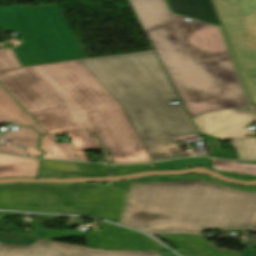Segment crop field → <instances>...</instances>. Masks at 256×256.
<instances>
[{
  "mask_svg": "<svg viewBox=\"0 0 256 256\" xmlns=\"http://www.w3.org/2000/svg\"><path fill=\"white\" fill-rule=\"evenodd\" d=\"M0 83L52 138L68 134L58 144L73 160L108 149L110 163L152 162L120 104L79 60L0 70Z\"/></svg>",
  "mask_w": 256,
  "mask_h": 256,
  "instance_id": "1",
  "label": "crop field"
},
{
  "mask_svg": "<svg viewBox=\"0 0 256 256\" xmlns=\"http://www.w3.org/2000/svg\"><path fill=\"white\" fill-rule=\"evenodd\" d=\"M191 117L249 105L218 27L171 14L164 0H129Z\"/></svg>",
  "mask_w": 256,
  "mask_h": 256,
  "instance_id": "2",
  "label": "crop field"
},
{
  "mask_svg": "<svg viewBox=\"0 0 256 256\" xmlns=\"http://www.w3.org/2000/svg\"><path fill=\"white\" fill-rule=\"evenodd\" d=\"M122 224L151 234L256 231V192L201 181L131 185Z\"/></svg>",
  "mask_w": 256,
  "mask_h": 256,
  "instance_id": "3",
  "label": "crop field"
},
{
  "mask_svg": "<svg viewBox=\"0 0 256 256\" xmlns=\"http://www.w3.org/2000/svg\"><path fill=\"white\" fill-rule=\"evenodd\" d=\"M121 104L153 161L183 157L173 137L196 133L154 51L80 60Z\"/></svg>",
  "mask_w": 256,
  "mask_h": 256,
  "instance_id": "4",
  "label": "crop field"
},
{
  "mask_svg": "<svg viewBox=\"0 0 256 256\" xmlns=\"http://www.w3.org/2000/svg\"><path fill=\"white\" fill-rule=\"evenodd\" d=\"M125 196L87 183L3 184L0 209L83 214L119 224Z\"/></svg>",
  "mask_w": 256,
  "mask_h": 256,
  "instance_id": "5",
  "label": "crop field"
},
{
  "mask_svg": "<svg viewBox=\"0 0 256 256\" xmlns=\"http://www.w3.org/2000/svg\"><path fill=\"white\" fill-rule=\"evenodd\" d=\"M0 26L22 33V66L87 58L58 5L0 7Z\"/></svg>",
  "mask_w": 256,
  "mask_h": 256,
  "instance_id": "6",
  "label": "crop field"
},
{
  "mask_svg": "<svg viewBox=\"0 0 256 256\" xmlns=\"http://www.w3.org/2000/svg\"><path fill=\"white\" fill-rule=\"evenodd\" d=\"M243 78L256 105V0H212Z\"/></svg>",
  "mask_w": 256,
  "mask_h": 256,
  "instance_id": "7",
  "label": "crop field"
},
{
  "mask_svg": "<svg viewBox=\"0 0 256 256\" xmlns=\"http://www.w3.org/2000/svg\"><path fill=\"white\" fill-rule=\"evenodd\" d=\"M0 256H162L158 252L116 251L0 233Z\"/></svg>",
  "mask_w": 256,
  "mask_h": 256,
  "instance_id": "8",
  "label": "crop field"
},
{
  "mask_svg": "<svg viewBox=\"0 0 256 256\" xmlns=\"http://www.w3.org/2000/svg\"><path fill=\"white\" fill-rule=\"evenodd\" d=\"M103 231L85 233L88 247L116 250H167L154 239L126 228L103 222Z\"/></svg>",
  "mask_w": 256,
  "mask_h": 256,
  "instance_id": "9",
  "label": "crop field"
},
{
  "mask_svg": "<svg viewBox=\"0 0 256 256\" xmlns=\"http://www.w3.org/2000/svg\"><path fill=\"white\" fill-rule=\"evenodd\" d=\"M200 133L220 140L246 135L245 126L254 122L249 107L213 111L193 118Z\"/></svg>",
  "mask_w": 256,
  "mask_h": 256,
  "instance_id": "10",
  "label": "crop field"
},
{
  "mask_svg": "<svg viewBox=\"0 0 256 256\" xmlns=\"http://www.w3.org/2000/svg\"><path fill=\"white\" fill-rule=\"evenodd\" d=\"M158 236V235H157ZM159 237L172 241L183 256H238L239 252L216 249L204 237L188 235H159Z\"/></svg>",
  "mask_w": 256,
  "mask_h": 256,
  "instance_id": "11",
  "label": "crop field"
},
{
  "mask_svg": "<svg viewBox=\"0 0 256 256\" xmlns=\"http://www.w3.org/2000/svg\"><path fill=\"white\" fill-rule=\"evenodd\" d=\"M2 122H12L15 126L32 127L41 134L46 133L0 84V123Z\"/></svg>",
  "mask_w": 256,
  "mask_h": 256,
  "instance_id": "12",
  "label": "crop field"
},
{
  "mask_svg": "<svg viewBox=\"0 0 256 256\" xmlns=\"http://www.w3.org/2000/svg\"><path fill=\"white\" fill-rule=\"evenodd\" d=\"M168 2L175 13L220 25L211 0H168Z\"/></svg>",
  "mask_w": 256,
  "mask_h": 256,
  "instance_id": "13",
  "label": "crop field"
},
{
  "mask_svg": "<svg viewBox=\"0 0 256 256\" xmlns=\"http://www.w3.org/2000/svg\"><path fill=\"white\" fill-rule=\"evenodd\" d=\"M39 166L37 160L0 154V178L36 177Z\"/></svg>",
  "mask_w": 256,
  "mask_h": 256,
  "instance_id": "14",
  "label": "crop field"
},
{
  "mask_svg": "<svg viewBox=\"0 0 256 256\" xmlns=\"http://www.w3.org/2000/svg\"><path fill=\"white\" fill-rule=\"evenodd\" d=\"M87 176L75 163L42 160L38 177H83Z\"/></svg>",
  "mask_w": 256,
  "mask_h": 256,
  "instance_id": "15",
  "label": "crop field"
},
{
  "mask_svg": "<svg viewBox=\"0 0 256 256\" xmlns=\"http://www.w3.org/2000/svg\"><path fill=\"white\" fill-rule=\"evenodd\" d=\"M4 139L14 140L13 144L26 145L27 154L31 155V157L35 155L40 157L44 153L38 150L40 134L32 128L18 127L16 132H7Z\"/></svg>",
  "mask_w": 256,
  "mask_h": 256,
  "instance_id": "16",
  "label": "crop field"
},
{
  "mask_svg": "<svg viewBox=\"0 0 256 256\" xmlns=\"http://www.w3.org/2000/svg\"><path fill=\"white\" fill-rule=\"evenodd\" d=\"M246 129V128H245ZM247 134H256L254 129L246 130ZM231 145L237 152L238 159H256V137L246 136L230 139Z\"/></svg>",
  "mask_w": 256,
  "mask_h": 256,
  "instance_id": "17",
  "label": "crop field"
},
{
  "mask_svg": "<svg viewBox=\"0 0 256 256\" xmlns=\"http://www.w3.org/2000/svg\"><path fill=\"white\" fill-rule=\"evenodd\" d=\"M155 169L153 164L147 165H135V166H115V165H103V164H95L93 170V176H104L106 174L110 175H120L126 173L137 172L141 170H150ZM111 170V172H108Z\"/></svg>",
  "mask_w": 256,
  "mask_h": 256,
  "instance_id": "18",
  "label": "crop field"
},
{
  "mask_svg": "<svg viewBox=\"0 0 256 256\" xmlns=\"http://www.w3.org/2000/svg\"><path fill=\"white\" fill-rule=\"evenodd\" d=\"M190 180H201V181L213 182V183L224 184V185H229V186H234V187H239V188H243V189L256 191V187H247V186H241V185L227 184V183H223V182H220V181L213 180V179H211L207 176H199V175H189V176H183V177L149 178V179L135 180V181H132L131 184L173 182V181H190Z\"/></svg>",
  "mask_w": 256,
  "mask_h": 256,
  "instance_id": "19",
  "label": "crop field"
},
{
  "mask_svg": "<svg viewBox=\"0 0 256 256\" xmlns=\"http://www.w3.org/2000/svg\"><path fill=\"white\" fill-rule=\"evenodd\" d=\"M40 149L46 151L41 158L72 160L49 134L42 136Z\"/></svg>",
  "mask_w": 256,
  "mask_h": 256,
  "instance_id": "20",
  "label": "crop field"
},
{
  "mask_svg": "<svg viewBox=\"0 0 256 256\" xmlns=\"http://www.w3.org/2000/svg\"><path fill=\"white\" fill-rule=\"evenodd\" d=\"M19 66H21V64L11 48L0 49V69Z\"/></svg>",
  "mask_w": 256,
  "mask_h": 256,
  "instance_id": "21",
  "label": "crop field"
},
{
  "mask_svg": "<svg viewBox=\"0 0 256 256\" xmlns=\"http://www.w3.org/2000/svg\"><path fill=\"white\" fill-rule=\"evenodd\" d=\"M201 135L212 156L228 159L224 149L222 148L220 142L217 139L208 137L207 135Z\"/></svg>",
  "mask_w": 256,
  "mask_h": 256,
  "instance_id": "22",
  "label": "crop field"
},
{
  "mask_svg": "<svg viewBox=\"0 0 256 256\" xmlns=\"http://www.w3.org/2000/svg\"><path fill=\"white\" fill-rule=\"evenodd\" d=\"M0 151L8 152V153H14V154H20V155L24 154L23 149L15 148V147L10 146V145H5V147L1 146Z\"/></svg>",
  "mask_w": 256,
  "mask_h": 256,
  "instance_id": "23",
  "label": "crop field"
},
{
  "mask_svg": "<svg viewBox=\"0 0 256 256\" xmlns=\"http://www.w3.org/2000/svg\"><path fill=\"white\" fill-rule=\"evenodd\" d=\"M88 176H92V170L94 164H81L76 163Z\"/></svg>",
  "mask_w": 256,
  "mask_h": 256,
  "instance_id": "24",
  "label": "crop field"
},
{
  "mask_svg": "<svg viewBox=\"0 0 256 256\" xmlns=\"http://www.w3.org/2000/svg\"><path fill=\"white\" fill-rule=\"evenodd\" d=\"M0 42H6L4 37H3V35H2V33H1V31H0Z\"/></svg>",
  "mask_w": 256,
  "mask_h": 256,
  "instance_id": "25",
  "label": "crop field"
},
{
  "mask_svg": "<svg viewBox=\"0 0 256 256\" xmlns=\"http://www.w3.org/2000/svg\"><path fill=\"white\" fill-rule=\"evenodd\" d=\"M4 134L3 133H0V141L2 140Z\"/></svg>",
  "mask_w": 256,
  "mask_h": 256,
  "instance_id": "26",
  "label": "crop field"
},
{
  "mask_svg": "<svg viewBox=\"0 0 256 256\" xmlns=\"http://www.w3.org/2000/svg\"><path fill=\"white\" fill-rule=\"evenodd\" d=\"M254 107V110L256 111V106H253Z\"/></svg>",
  "mask_w": 256,
  "mask_h": 256,
  "instance_id": "27",
  "label": "crop field"
},
{
  "mask_svg": "<svg viewBox=\"0 0 256 256\" xmlns=\"http://www.w3.org/2000/svg\"><path fill=\"white\" fill-rule=\"evenodd\" d=\"M250 163H256V162H250Z\"/></svg>",
  "mask_w": 256,
  "mask_h": 256,
  "instance_id": "28",
  "label": "crop field"
}]
</instances>
